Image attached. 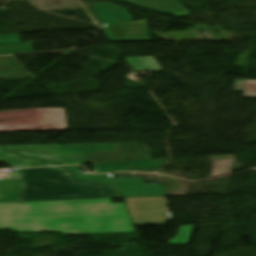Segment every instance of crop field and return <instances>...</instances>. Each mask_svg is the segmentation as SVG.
Returning <instances> with one entry per match:
<instances>
[{
	"label": "crop field",
	"instance_id": "8a807250",
	"mask_svg": "<svg viewBox=\"0 0 256 256\" xmlns=\"http://www.w3.org/2000/svg\"><path fill=\"white\" fill-rule=\"evenodd\" d=\"M63 234L135 232L123 203L110 199L0 203V229Z\"/></svg>",
	"mask_w": 256,
	"mask_h": 256
},
{
	"label": "crop field",
	"instance_id": "ac0d7876",
	"mask_svg": "<svg viewBox=\"0 0 256 256\" xmlns=\"http://www.w3.org/2000/svg\"><path fill=\"white\" fill-rule=\"evenodd\" d=\"M121 197L108 186L73 180L60 167L19 169L0 179V202Z\"/></svg>",
	"mask_w": 256,
	"mask_h": 256
},
{
	"label": "crop field",
	"instance_id": "34b2d1b8",
	"mask_svg": "<svg viewBox=\"0 0 256 256\" xmlns=\"http://www.w3.org/2000/svg\"><path fill=\"white\" fill-rule=\"evenodd\" d=\"M22 156L51 161L57 165L81 164L91 152L115 151V144L3 146Z\"/></svg>",
	"mask_w": 256,
	"mask_h": 256
},
{
	"label": "crop field",
	"instance_id": "412701ff",
	"mask_svg": "<svg viewBox=\"0 0 256 256\" xmlns=\"http://www.w3.org/2000/svg\"><path fill=\"white\" fill-rule=\"evenodd\" d=\"M67 130L63 109L0 112V132Z\"/></svg>",
	"mask_w": 256,
	"mask_h": 256
},
{
	"label": "crop field",
	"instance_id": "f4fd0767",
	"mask_svg": "<svg viewBox=\"0 0 256 256\" xmlns=\"http://www.w3.org/2000/svg\"><path fill=\"white\" fill-rule=\"evenodd\" d=\"M71 170L74 179L105 184L120 191L123 197L166 196L161 184H145L142 178L112 179L111 175H89L79 172L80 166L64 167Z\"/></svg>",
	"mask_w": 256,
	"mask_h": 256
},
{
	"label": "crop field",
	"instance_id": "dd49c442",
	"mask_svg": "<svg viewBox=\"0 0 256 256\" xmlns=\"http://www.w3.org/2000/svg\"><path fill=\"white\" fill-rule=\"evenodd\" d=\"M124 199L135 225H165L171 220L165 197Z\"/></svg>",
	"mask_w": 256,
	"mask_h": 256
},
{
	"label": "crop field",
	"instance_id": "e52e79f7",
	"mask_svg": "<svg viewBox=\"0 0 256 256\" xmlns=\"http://www.w3.org/2000/svg\"><path fill=\"white\" fill-rule=\"evenodd\" d=\"M119 2L151 9L178 18L190 15L176 0H120Z\"/></svg>",
	"mask_w": 256,
	"mask_h": 256
},
{
	"label": "crop field",
	"instance_id": "d8731c3e",
	"mask_svg": "<svg viewBox=\"0 0 256 256\" xmlns=\"http://www.w3.org/2000/svg\"><path fill=\"white\" fill-rule=\"evenodd\" d=\"M32 77L13 58L0 57V80Z\"/></svg>",
	"mask_w": 256,
	"mask_h": 256
},
{
	"label": "crop field",
	"instance_id": "5a996713",
	"mask_svg": "<svg viewBox=\"0 0 256 256\" xmlns=\"http://www.w3.org/2000/svg\"><path fill=\"white\" fill-rule=\"evenodd\" d=\"M96 173L124 171L129 167L160 166L159 160L92 164Z\"/></svg>",
	"mask_w": 256,
	"mask_h": 256
},
{
	"label": "crop field",
	"instance_id": "3316defc",
	"mask_svg": "<svg viewBox=\"0 0 256 256\" xmlns=\"http://www.w3.org/2000/svg\"><path fill=\"white\" fill-rule=\"evenodd\" d=\"M2 161L7 162L12 167H40V166H51L54 165L49 162L37 161L33 159H25L16 154H10L2 159Z\"/></svg>",
	"mask_w": 256,
	"mask_h": 256
},
{
	"label": "crop field",
	"instance_id": "28ad6ade",
	"mask_svg": "<svg viewBox=\"0 0 256 256\" xmlns=\"http://www.w3.org/2000/svg\"><path fill=\"white\" fill-rule=\"evenodd\" d=\"M29 52H33L31 44H21V45L0 47V55L29 53Z\"/></svg>",
	"mask_w": 256,
	"mask_h": 256
},
{
	"label": "crop field",
	"instance_id": "d1516ede",
	"mask_svg": "<svg viewBox=\"0 0 256 256\" xmlns=\"http://www.w3.org/2000/svg\"><path fill=\"white\" fill-rule=\"evenodd\" d=\"M193 226H180L177 237L171 239L168 244H188Z\"/></svg>",
	"mask_w": 256,
	"mask_h": 256
},
{
	"label": "crop field",
	"instance_id": "22f410ed",
	"mask_svg": "<svg viewBox=\"0 0 256 256\" xmlns=\"http://www.w3.org/2000/svg\"><path fill=\"white\" fill-rule=\"evenodd\" d=\"M243 97L256 98V81H245Z\"/></svg>",
	"mask_w": 256,
	"mask_h": 256
},
{
	"label": "crop field",
	"instance_id": "cbeb9de0",
	"mask_svg": "<svg viewBox=\"0 0 256 256\" xmlns=\"http://www.w3.org/2000/svg\"><path fill=\"white\" fill-rule=\"evenodd\" d=\"M19 35L0 36V45L20 44Z\"/></svg>",
	"mask_w": 256,
	"mask_h": 256
},
{
	"label": "crop field",
	"instance_id": "5142ce71",
	"mask_svg": "<svg viewBox=\"0 0 256 256\" xmlns=\"http://www.w3.org/2000/svg\"><path fill=\"white\" fill-rule=\"evenodd\" d=\"M244 81H236L234 92H243Z\"/></svg>",
	"mask_w": 256,
	"mask_h": 256
},
{
	"label": "crop field",
	"instance_id": "d9b57169",
	"mask_svg": "<svg viewBox=\"0 0 256 256\" xmlns=\"http://www.w3.org/2000/svg\"><path fill=\"white\" fill-rule=\"evenodd\" d=\"M10 153H12V152H10V151L0 147V158L4 157V156H6V155H8Z\"/></svg>",
	"mask_w": 256,
	"mask_h": 256
}]
</instances>
